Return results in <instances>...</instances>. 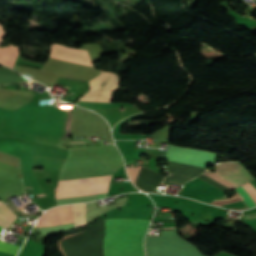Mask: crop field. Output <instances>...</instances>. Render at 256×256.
<instances>
[{
    "label": "crop field",
    "instance_id": "obj_13",
    "mask_svg": "<svg viewBox=\"0 0 256 256\" xmlns=\"http://www.w3.org/2000/svg\"><path fill=\"white\" fill-rule=\"evenodd\" d=\"M4 35H5V32L2 28V26H0V39H2L4 37Z\"/></svg>",
    "mask_w": 256,
    "mask_h": 256
},
{
    "label": "crop field",
    "instance_id": "obj_1",
    "mask_svg": "<svg viewBox=\"0 0 256 256\" xmlns=\"http://www.w3.org/2000/svg\"><path fill=\"white\" fill-rule=\"evenodd\" d=\"M114 172L116 170L97 157L67 158L59 180L108 175ZM110 176L59 181L56 199L107 192Z\"/></svg>",
    "mask_w": 256,
    "mask_h": 256
},
{
    "label": "crop field",
    "instance_id": "obj_9",
    "mask_svg": "<svg viewBox=\"0 0 256 256\" xmlns=\"http://www.w3.org/2000/svg\"><path fill=\"white\" fill-rule=\"evenodd\" d=\"M17 216H15L4 204V202H0V225L9 227L15 220Z\"/></svg>",
    "mask_w": 256,
    "mask_h": 256
},
{
    "label": "crop field",
    "instance_id": "obj_6",
    "mask_svg": "<svg viewBox=\"0 0 256 256\" xmlns=\"http://www.w3.org/2000/svg\"><path fill=\"white\" fill-rule=\"evenodd\" d=\"M1 43L2 41L0 42V44ZM19 49V47L11 44L0 48V63L12 68L19 54Z\"/></svg>",
    "mask_w": 256,
    "mask_h": 256
},
{
    "label": "crop field",
    "instance_id": "obj_2",
    "mask_svg": "<svg viewBox=\"0 0 256 256\" xmlns=\"http://www.w3.org/2000/svg\"><path fill=\"white\" fill-rule=\"evenodd\" d=\"M149 223L139 219H107L105 256H143V237Z\"/></svg>",
    "mask_w": 256,
    "mask_h": 256
},
{
    "label": "crop field",
    "instance_id": "obj_8",
    "mask_svg": "<svg viewBox=\"0 0 256 256\" xmlns=\"http://www.w3.org/2000/svg\"><path fill=\"white\" fill-rule=\"evenodd\" d=\"M75 228L82 227L86 222V203L72 205Z\"/></svg>",
    "mask_w": 256,
    "mask_h": 256
},
{
    "label": "crop field",
    "instance_id": "obj_3",
    "mask_svg": "<svg viewBox=\"0 0 256 256\" xmlns=\"http://www.w3.org/2000/svg\"><path fill=\"white\" fill-rule=\"evenodd\" d=\"M216 157L217 154L169 145L164 159L205 169Z\"/></svg>",
    "mask_w": 256,
    "mask_h": 256
},
{
    "label": "crop field",
    "instance_id": "obj_11",
    "mask_svg": "<svg viewBox=\"0 0 256 256\" xmlns=\"http://www.w3.org/2000/svg\"><path fill=\"white\" fill-rule=\"evenodd\" d=\"M126 169L131 181L134 183L141 168L126 167Z\"/></svg>",
    "mask_w": 256,
    "mask_h": 256
},
{
    "label": "crop field",
    "instance_id": "obj_4",
    "mask_svg": "<svg viewBox=\"0 0 256 256\" xmlns=\"http://www.w3.org/2000/svg\"><path fill=\"white\" fill-rule=\"evenodd\" d=\"M215 167L216 170L213 173L221 176L222 178L237 185L238 187L248 181L250 182L251 180H253L249 173L237 162L220 163L218 165H215ZM213 173L207 170L204 174L210 176L211 178L217 180L218 182L224 184L231 189L236 187Z\"/></svg>",
    "mask_w": 256,
    "mask_h": 256
},
{
    "label": "crop field",
    "instance_id": "obj_16",
    "mask_svg": "<svg viewBox=\"0 0 256 256\" xmlns=\"http://www.w3.org/2000/svg\"><path fill=\"white\" fill-rule=\"evenodd\" d=\"M168 228H174V227H168Z\"/></svg>",
    "mask_w": 256,
    "mask_h": 256
},
{
    "label": "crop field",
    "instance_id": "obj_14",
    "mask_svg": "<svg viewBox=\"0 0 256 256\" xmlns=\"http://www.w3.org/2000/svg\"><path fill=\"white\" fill-rule=\"evenodd\" d=\"M43 195H45V194L36 195V197L43 196Z\"/></svg>",
    "mask_w": 256,
    "mask_h": 256
},
{
    "label": "crop field",
    "instance_id": "obj_15",
    "mask_svg": "<svg viewBox=\"0 0 256 256\" xmlns=\"http://www.w3.org/2000/svg\"><path fill=\"white\" fill-rule=\"evenodd\" d=\"M2 230V228L0 227V231Z\"/></svg>",
    "mask_w": 256,
    "mask_h": 256
},
{
    "label": "crop field",
    "instance_id": "obj_10",
    "mask_svg": "<svg viewBox=\"0 0 256 256\" xmlns=\"http://www.w3.org/2000/svg\"><path fill=\"white\" fill-rule=\"evenodd\" d=\"M19 249H20L19 246L11 245L6 242L0 241V251L9 252V253H13L16 255V253L19 251Z\"/></svg>",
    "mask_w": 256,
    "mask_h": 256
},
{
    "label": "crop field",
    "instance_id": "obj_5",
    "mask_svg": "<svg viewBox=\"0 0 256 256\" xmlns=\"http://www.w3.org/2000/svg\"><path fill=\"white\" fill-rule=\"evenodd\" d=\"M73 222L71 205L60 206L46 211L36 227L61 225Z\"/></svg>",
    "mask_w": 256,
    "mask_h": 256
},
{
    "label": "crop field",
    "instance_id": "obj_12",
    "mask_svg": "<svg viewBox=\"0 0 256 256\" xmlns=\"http://www.w3.org/2000/svg\"><path fill=\"white\" fill-rule=\"evenodd\" d=\"M244 218H245V221L254 220L256 219V214L246 215L244 216Z\"/></svg>",
    "mask_w": 256,
    "mask_h": 256
},
{
    "label": "crop field",
    "instance_id": "obj_7",
    "mask_svg": "<svg viewBox=\"0 0 256 256\" xmlns=\"http://www.w3.org/2000/svg\"><path fill=\"white\" fill-rule=\"evenodd\" d=\"M235 190L241 196L248 208L256 205V190L250 183H247Z\"/></svg>",
    "mask_w": 256,
    "mask_h": 256
}]
</instances>
